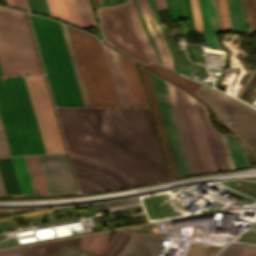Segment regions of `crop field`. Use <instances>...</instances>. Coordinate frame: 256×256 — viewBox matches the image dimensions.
<instances>
[{"mask_svg":"<svg viewBox=\"0 0 256 256\" xmlns=\"http://www.w3.org/2000/svg\"><path fill=\"white\" fill-rule=\"evenodd\" d=\"M181 94H182V98H183L185 108H186V111H187V114H188V118H189V121H190V124H191V128H192V131H193V134H194V138H195V141H196V144H197V148H198V151H199V154H200V158H201V161H202V164H203L204 171L209 172L207 164H206V160H205V157H204V154H203V150H202V147H201V143H200V140H199V136H198V133H197V130H196V126H195V123H194V119H193V116H192V112H191V109H190V106H189L187 95H186V93H184L182 91H181Z\"/></svg>","mask_w":256,"mask_h":256,"instance_id":"obj_27","label":"crop field"},{"mask_svg":"<svg viewBox=\"0 0 256 256\" xmlns=\"http://www.w3.org/2000/svg\"><path fill=\"white\" fill-rule=\"evenodd\" d=\"M119 59L125 75L133 106L148 107L135 64L121 55H119Z\"/></svg>","mask_w":256,"mask_h":256,"instance_id":"obj_12","label":"crop field"},{"mask_svg":"<svg viewBox=\"0 0 256 256\" xmlns=\"http://www.w3.org/2000/svg\"><path fill=\"white\" fill-rule=\"evenodd\" d=\"M256 251V246L248 245L239 256H252Z\"/></svg>","mask_w":256,"mask_h":256,"instance_id":"obj_46","label":"crop field"},{"mask_svg":"<svg viewBox=\"0 0 256 256\" xmlns=\"http://www.w3.org/2000/svg\"><path fill=\"white\" fill-rule=\"evenodd\" d=\"M36 194L48 193L37 155L24 156Z\"/></svg>","mask_w":256,"mask_h":256,"instance_id":"obj_17","label":"crop field"},{"mask_svg":"<svg viewBox=\"0 0 256 256\" xmlns=\"http://www.w3.org/2000/svg\"><path fill=\"white\" fill-rule=\"evenodd\" d=\"M66 29L89 105L119 106L101 43L93 35Z\"/></svg>","mask_w":256,"mask_h":256,"instance_id":"obj_4","label":"crop field"},{"mask_svg":"<svg viewBox=\"0 0 256 256\" xmlns=\"http://www.w3.org/2000/svg\"><path fill=\"white\" fill-rule=\"evenodd\" d=\"M56 106H84L58 22L29 15Z\"/></svg>","mask_w":256,"mask_h":256,"instance_id":"obj_3","label":"crop field"},{"mask_svg":"<svg viewBox=\"0 0 256 256\" xmlns=\"http://www.w3.org/2000/svg\"><path fill=\"white\" fill-rule=\"evenodd\" d=\"M0 194H6L5 190H4V186H3L2 180H1V176H0Z\"/></svg>","mask_w":256,"mask_h":256,"instance_id":"obj_50","label":"crop field"},{"mask_svg":"<svg viewBox=\"0 0 256 256\" xmlns=\"http://www.w3.org/2000/svg\"><path fill=\"white\" fill-rule=\"evenodd\" d=\"M161 237L133 233L120 256H155Z\"/></svg>","mask_w":256,"mask_h":256,"instance_id":"obj_13","label":"crop field"},{"mask_svg":"<svg viewBox=\"0 0 256 256\" xmlns=\"http://www.w3.org/2000/svg\"><path fill=\"white\" fill-rule=\"evenodd\" d=\"M82 21L84 25H96L88 0H76Z\"/></svg>","mask_w":256,"mask_h":256,"instance_id":"obj_31","label":"crop field"},{"mask_svg":"<svg viewBox=\"0 0 256 256\" xmlns=\"http://www.w3.org/2000/svg\"><path fill=\"white\" fill-rule=\"evenodd\" d=\"M61 28H62V31H63V34H64V38H65V41H66V44H67V48H68V51H69V54H70V58H71V61H72V64H73V68H74L75 75H76V78H77V81H78V85H79V88H80V91H81V95H82V98H83V101H84V105L89 106L88 102H87L85 92H84V88H83V85H82V82H81V79H80V75H79V72H78V69H77V66H76V62H75V59H74V56H73V52H72V49H71V46H70V43H69V39H68V36H67V33H66L65 26L63 24H61Z\"/></svg>","mask_w":256,"mask_h":256,"instance_id":"obj_30","label":"crop field"},{"mask_svg":"<svg viewBox=\"0 0 256 256\" xmlns=\"http://www.w3.org/2000/svg\"><path fill=\"white\" fill-rule=\"evenodd\" d=\"M149 76L156 96L158 107L161 113V117L164 123V127L173 154L175 165L178 171V175L182 176L192 174L184 150V146L181 140V136L178 130V126L175 120V116L172 110V106L169 100V96L166 90L165 83L163 80L155 77L150 73Z\"/></svg>","mask_w":256,"mask_h":256,"instance_id":"obj_8","label":"crop field"},{"mask_svg":"<svg viewBox=\"0 0 256 256\" xmlns=\"http://www.w3.org/2000/svg\"><path fill=\"white\" fill-rule=\"evenodd\" d=\"M226 136L232 153L234 164H236L235 167L238 168L242 167L241 165H249L248 163H250V160L247 152L231 135L227 134Z\"/></svg>","mask_w":256,"mask_h":256,"instance_id":"obj_23","label":"crop field"},{"mask_svg":"<svg viewBox=\"0 0 256 256\" xmlns=\"http://www.w3.org/2000/svg\"><path fill=\"white\" fill-rule=\"evenodd\" d=\"M145 66H147V67H149V68H151V69H153V70H155V71H157V72L167 76L170 79L174 78L175 79V80H173L174 82H176L177 84L181 85L182 87H184L185 89L189 90L192 93L201 86V84L194 83V82L189 81V80H187V79H185V78H183L181 76L179 78L178 77L179 75H177V74H175V73H173V72H171V71H169V70H167V69H165V68H163V67H161V66H159L157 64H148V65H145ZM193 84H194L195 87L191 86Z\"/></svg>","mask_w":256,"mask_h":256,"instance_id":"obj_25","label":"crop field"},{"mask_svg":"<svg viewBox=\"0 0 256 256\" xmlns=\"http://www.w3.org/2000/svg\"><path fill=\"white\" fill-rule=\"evenodd\" d=\"M100 3L103 4L102 0H100Z\"/></svg>","mask_w":256,"mask_h":256,"instance_id":"obj_55","label":"crop field"},{"mask_svg":"<svg viewBox=\"0 0 256 256\" xmlns=\"http://www.w3.org/2000/svg\"><path fill=\"white\" fill-rule=\"evenodd\" d=\"M188 24L191 30H195L189 0H183Z\"/></svg>","mask_w":256,"mask_h":256,"instance_id":"obj_44","label":"crop field"},{"mask_svg":"<svg viewBox=\"0 0 256 256\" xmlns=\"http://www.w3.org/2000/svg\"><path fill=\"white\" fill-rule=\"evenodd\" d=\"M104 4L110 3L109 0H103Z\"/></svg>","mask_w":256,"mask_h":256,"instance_id":"obj_53","label":"crop field"},{"mask_svg":"<svg viewBox=\"0 0 256 256\" xmlns=\"http://www.w3.org/2000/svg\"><path fill=\"white\" fill-rule=\"evenodd\" d=\"M6 156H11L8 145L5 139V135L2 129V125L0 122V157H6Z\"/></svg>","mask_w":256,"mask_h":256,"instance_id":"obj_41","label":"crop field"},{"mask_svg":"<svg viewBox=\"0 0 256 256\" xmlns=\"http://www.w3.org/2000/svg\"><path fill=\"white\" fill-rule=\"evenodd\" d=\"M190 3H191V8H192L195 28H196V30H203L201 18H200L199 7H198V2H197V0H190Z\"/></svg>","mask_w":256,"mask_h":256,"instance_id":"obj_39","label":"crop field"},{"mask_svg":"<svg viewBox=\"0 0 256 256\" xmlns=\"http://www.w3.org/2000/svg\"><path fill=\"white\" fill-rule=\"evenodd\" d=\"M51 14L77 25H83L75 0H47Z\"/></svg>","mask_w":256,"mask_h":256,"instance_id":"obj_15","label":"crop field"},{"mask_svg":"<svg viewBox=\"0 0 256 256\" xmlns=\"http://www.w3.org/2000/svg\"><path fill=\"white\" fill-rule=\"evenodd\" d=\"M0 119L12 156L45 153L23 77H0Z\"/></svg>","mask_w":256,"mask_h":256,"instance_id":"obj_2","label":"crop field"},{"mask_svg":"<svg viewBox=\"0 0 256 256\" xmlns=\"http://www.w3.org/2000/svg\"><path fill=\"white\" fill-rule=\"evenodd\" d=\"M110 231L82 236L81 247L99 252L105 245Z\"/></svg>","mask_w":256,"mask_h":256,"instance_id":"obj_24","label":"crop field"},{"mask_svg":"<svg viewBox=\"0 0 256 256\" xmlns=\"http://www.w3.org/2000/svg\"><path fill=\"white\" fill-rule=\"evenodd\" d=\"M120 10L125 21L130 39L136 49V52L142 63H149L142 46L136 36L133 23L128 11L127 4L120 5ZM119 7L99 8V17L105 40L115 46L122 52L128 54L134 59L139 60L135 49L129 39L125 24L123 22Z\"/></svg>","mask_w":256,"mask_h":256,"instance_id":"obj_6","label":"crop field"},{"mask_svg":"<svg viewBox=\"0 0 256 256\" xmlns=\"http://www.w3.org/2000/svg\"><path fill=\"white\" fill-rule=\"evenodd\" d=\"M94 3H95V5L100 4V3H99V0H94Z\"/></svg>","mask_w":256,"mask_h":256,"instance_id":"obj_52","label":"crop field"},{"mask_svg":"<svg viewBox=\"0 0 256 256\" xmlns=\"http://www.w3.org/2000/svg\"><path fill=\"white\" fill-rule=\"evenodd\" d=\"M253 256H256V252H255V254Z\"/></svg>","mask_w":256,"mask_h":256,"instance_id":"obj_57","label":"crop field"},{"mask_svg":"<svg viewBox=\"0 0 256 256\" xmlns=\"http://www.w3.org/2000/svg\"><path fill=\"white\" fill-rule=\"evenodd\" d=\"M26 246L0 250V256H21Z\"/></svg>","mask_w":256,"mask_h":256,"instance_id":"obj_43","label":"crop field"},{"mask_svg":"<svg viewBox=\"0 0 256 256\" xmlns=\"http://www.w3.org/2000/svg\"><path fill=\"white\" fill-rule=\"evenodd\" d=\"M30 3L34 11L50 14L46 0H30Z\"/></svg>","mask_w":256,"mask_h":256,"instance_id":"obj_40","label":"crop field"},{"mask_svg":"<svg viewBox=\"0 0 256 256\" xmlns=\"http://www.w3.org/2000/svg\"><path fill=\"white\" fill-rule=\"evenodd\" d=\"M111 1V3H115L116 1L115 0H110Z\"/></svg>","mask_w":256,"mask_h":256,"instance_id":"obj_54","label":"crop field"},{"mask_svg":"<svg viewBox=\"0 0 256 256\" xmlns=\"http://www.w3.org/2000/svg\"><path fill=\"white\" fill-rule=\"evenodd\" d=\"M77 239H78L79 245H78ZM80 241H81V236H78V237H72V238L59 240L55 242L29 245L25 250L23 256H55L62 243L80 247ZM34 249H44V250H34Z\"/></svg>","mask_w":256,"mask_h":256,"instance_id":"obj_16","label":"crop field"},{"mask_svg":"<svg viewBox=\"0 0 256 256\" xmlns=\"http://www.w3.org/2000/svg\"><path fill=\"white\" fill-rule=\"evenodd\" d=\"M5 1H6V3L9 4V5L15 6L13 0H5Z\"/></svg>","mask_w":256,"mask_h":256,"instance_id":"obj_51","label":"crop field"},{"mask_svg":"<svg viewBox=\"0 0 256 256\" xmlns=\"http://www.w3.org/2000/svg\"><path fill=\"white\" fill-rule=\"evenodd\" d=\"M0 67L3 75L42 74L25 14L0 7Z\"/></svg>","mask_w":256,"mask_h":256,"instance_id":"obj_5","label":"crop field"},{"mask_svg":"<svg viewBox=\"0 0 256 256\" xmlns=\"http://www.w3.org/2000/svg\"><path fill=\"white\" fill-rule=\"evenodd\" d=\"M38 156L49 193L76 191L65 153Z\"/></svg>","mask_w":256,"mask_h":256,"instance_id":"obj_9","label":"crop field"},{"mask_svg":"<svg viewBox=\"0 0 256 256\" xmlns=\"http://www.w3.org/2000/svg\"><path fill=\"white\" fill-rule=\"evenodd\" d=\"M136 2H137V4H138V6H139V9H140L141 14H142V16H143V19H144V21H145V23H146V26H147V28H148V31H149V33H150V35H151V37H152V39H153V41H154V43H155L157 49H158V51H159V54H160V56H161V58H162V63H163V65L169 68V65H168V63H167L166 56H165V52H164V50H163L161 41H160L158 35L155 36L156 31L153 29V27H152L151 24H150L149 18H148L147 14H146V11H145V9H144L142 3H141V0H136Z\"/></svg>","mask_w":256,"mask_h":256,"instance_id":"obj_26","label":"crop field"},{"mask_svg":"<svg viewBox=\"0 0 256 256\" xmlns=\"http://www.w3.org/2000/svg\"><path fill=\"white\" fill-rule=\"evenodd\" d=\"M215 32L216 31H202L205 43L211 48L221 49L216 42Z\"/></svg>","mask_w":256,"mask_h":256,"instance_id":"obj_42","label":"crop field"},{"mask_svg":"<svg viewBox=\"0 0 256 256\" xmlns=\"http://www.w3.org/2000/svg\"><path fill=\"white\" fill-rule=\"evenodd\" d=\"M175 91H176V94H177V97H178V101H179L180 108H181V111H182V114H183V118H184V121H185V124H186V128H187L188 135H189V138H190V141H191V145H192L193 152H194V155H195V158H196V162H197V165H198V168H199V172L202 173L204 171H203L202 164H201V161H200V158H199V154H198V151H197V148H196V144H195V141H194V138H193V134H192V131H191V128H190V124H189V121H188V118H187V114H186V111H185V108H184V104H183V101H182V98H181V94H180L179 89H177L176 87H175Z\"/></svg>","mask_w":256,"mask_h":256,"instance_id":"obj_28","label":"crop field"},{"mask_svg":"<svg viewBox=\"0 0 256 256\" xmlns=\"http://www.w3.org/2000/svg\"><path fill=\"white\" fill-rule=\"evenodd\" d=\"M117 2H119V1H122V0H116Z\"/></svg>","mask_w":256,"mask_h":256,"instance_id":"obj_56","label":"crop field"},{"mask_svg":"<svg viewBox=\"0 0 256 256\" xmlns=\"http://www.w3.org/2000/svg\"><path fill=\"white\" fill-rule=\"evenodd\" d=\"M166 2L173 21L184 19L180 0H166Z\"/></svg>","mask_w":256,"mask_h":256,"instance_id":"obj_34","label":"crop field"},{"mask_svg":"<svg viewBox=\"0 0 256 256\" xmlns=\"http://www.w3.org/2000/svg\"><path fill=\"white\" fill-rule=\"evenodd\" d=\"M56 109L81 192L169 178L148 109Z\"/></svg>","mask_w":256,"mask_h":256,"instance_id":"obj_1","label":"crop field"},{"mask_svg":"<svg viewBox=\"0 0 256 256\" xmlns=\"http://www.w3.org/2000/svg\"><path fill=\"white\" fill-rule=\"evenodd\" d=\"M153 1L157 10L167 9L165 0H153Z\"/></svg>","mask_w":256,"mask_h":256,"instance_id":"obj_47","label":"crop field"},{"mask_svg":"<svg viewBox=\"0 0 256 256\" xmlns=\"http://www.w3.org/2000/svg\"><path fill=\"white\" fill-rule=\"evenodd\" d=\"M0 75H2V74H1V70H0Z\"/></svg>","mask_w":256,"mask_h":256,"instance_id":"obj_58","label":"crop field"},{"mask_svg":"<svg viewBox=\"0 0 256 256\" xmlns=\"http://www.w3.org/2000/svg\"><path fill=\"white\" fill-rule=\"evenodd\" d=\"M46 153L65 151L43 76L24 77Z\"/></svg>","mask_w":256,"mask_h":256,"instance_id":"obj_7","label":"crop field"},{"mask_svg":"<svg viewBox=\"0 0 256 256\" xmlns=\"http://www.w3.org/2000/svg\"><path fill=\"white\" fill-rule=\"evenodd\" d=\"M204 30H211L205 0H198Z\"/></svg>","mask_w":256,"mask_h":256,"instance_id":"obj_38","label":"crop field"},{"mask_svg":"<svg viewBox=\"0 0 256 256\" xmlns=\"http://www.w3.org/2000/svg\"><path fill=\"white\" fill-rule=\"evenodd\" d=\"M140 71H141V74H142V77H143V81H144L145 88H146V91H147V95H148V98H149V101H150V105H151L152 112H153V115H154V119H155V122H156V125H157V129H158L159 136H160V139H161V143H162V146H163V149H164V153H165L166 160H167V163H168V167H169V170H170V173H171V177L172 178L178 177L176 169H175V165H174V162H173V158H172V155H171V151H170V148H169V144H168V141H167V138H166V134H165V131H164V127H163V124H162V121H161V117H160V114H159V110H158V107H157V104H156V100H155V97H154V94H153L151 83H150V80H149V77H148V73H147V71H145L141 67H140Z\"/></svg>","mask_w":256,"mask_h":256,"instance_id":"obj_11","label":"crop field"},{"mask_svg":"<svg viewBox=\"0 0 256 256\" xmlns=\"http://www.w3.org/2000/svg\"><path fill=\"white\" fill-rule=\"evenodd\" d=\"M197 105L200 111L201 118L203 119V125L208 138L213 159L216 165V169L217 170L229 169L225 155H224V151L220 142L219 135L209 126L204 106L200 104L198 101H197Z\"/></svg>","mask_w":256,"mask_h":256,"instance_id":"obj_14","label":"crop field"},{"mask_svg":"<svg viewBox=\"0 0 256 256\" xmlns=\"http://www.w3.org/2000/svg\"><path fill=\"white\" fill-rule=\"evenodd\" d=\"M212 30H220L214 0H206Z\"/></svg>","mask_w":256,"mask_h":256,"instance_id":"obj_35","label":"crop field"},{"mask_svg":"<svg viewBox=\"0 0 256 256\" xmlns=\"http://www.w3.org/2000/svg\"><path fill=\"white\" fill-rule=\"evenodd\" d=\"M215 2H216V7H217V12H218V17H219L220 28H221V30H223V28H222V23H221L220 12H219V7H218V1H217V0H215Z\"/></svg>","mask_w":256,"mask_h":256,"instance_id":"obj_49","label":"crop field"},{"mask_svg":"<svg viewBox=\"0 0 256 256\" xmlns=\"http://www.w3.org/2000/svg\"><path fill=\"white\" fill-rule=\"evenodd\" d=\"M120 106L133 107L117 53L103 45Z\"/></svg>","mask_w":256,"mask_h":256,"instance_id":"obj_10","label":"crop field"},{"mask_svg":"<svg viewBox=\"0 0 256 256\" xmlns=\"http://www.w3.org/2000/svg\"><path fill=\"white\" fill-rule=\"evenodd\" d=\"M250 31H256V0H244Z\"/></svg>","mask_w":256,"mask_h":256,"instance_id":"obj_33","label":"crop field"},{"mask_svg":"<svg viewBox=\"0 0 256 256\" xmlns=\"http://www.w3.org/2000/svg\"><path fill=\"white\" fill-rule=\"evenodd\" d=\"M246 244L233 243L221 252L218 256H238V254L246 247Z\"/></svg>","mask_w":256,"mask_h":256,"instance_id":"obj_37","label":"crop field"},{"mask_svg":"<svg viewBox=\"0 0 256 256\" xmlns=\"http://www.w3.org/2000/svg\"><path fill=\"white\" fill-rule=\"evenodd\" d=\"M132 233L117 231L99 253L93 256H117L128 242Z\"/></svg>","mask_w":256,"mask_h":256,"instance_id":"obj_18","label":"crop field"},{"mask_svg":"<svg viewBox=\"0 0 256 256\" xmlns=\"http://www.w3.org/2000/svg\"><path fill=\"white\" fill-rule=\"evenodd\" d=\"M14 2H15V5H16L17 7H21V8L28 9L25 0H14Z\"/></svg>","mask_w":256,"mask_h":256,"instance_id":"obj_48","label":"crop field"},{"mask_svg":"<svg viewBox=\"0 0 256 256\" xmlns=\"http://www.w3.org/2000/svg\"><path fill=\"white\" fill-rule=\"evenodd\" d=\"M233 30L246 31L240 0H227Z\"/></svg>","mask_w":256,"mask_h":256,"instance_id":"obj_22","label":"crop field"},{"mask_svg":"<svg viewBox=\"0 0 256 256\" xmlns=\"http://www.w3.org/2000/svg\"><path fill=\"white\" fill-rule=\"evenodd\" d=\"M221 136H222V140H223L224 147H225V150H226V154H227V157H228V161H229V164H230V168L233 169L235 167L233 165V161H232V158H231V154H230V150H229L228 143H227V140H226V136L225 135H221Z\"/></svg>","mask_w":256,"mask_h":256,"instance_id":"obj_45","label":"crop field"},{"mask_svg":"<svg viewBox=\"0 0 256 256\" xmlns=\"http://www.w3.org/2000/svg\"><path fill=\"white\" fill-rule=\"evenodd\" d=\"M22 194H35L23 157L11 158Z\"/></svg>","mask_w":256,"mask_h":256,"instance_id":"obj_20","label":"crop field"},{"mask_svg":"<svg viewBox=\"0 0 256 256\" xmlns=\"http://www.w3.org/2000/svg\"><path fill=\"white\" fill-rule=\"evenodd\" d=\"M224 30H232L226 0H218Z\"/></svg>","mask_w":256,"mask_h":256,"instance_id":"obj_36","label":"crop field"},{"mask_svg":"<svg viewBox=\"0 0 256 256\" xmlns=\"http://www.w3.org/2000/svg\"><path fill=\"white\" fill-rule=\"evenodd\" d=\"M142 2H143V5H144V7H145L149 17H150V20H151L153 26L156 28V30L158 32V35H159V37H160V39L162 41V44H163V47L165 49L167 60L169 62L170 68L173 69V64H172V60H171V53H170V51H169V49L167 47V44H166V41H165V39L163 37L162 31H161V29H160V27H159V25H158L154 15H153V12H152V10L150 8V5H149L147 0H142Z\"/></svg>","mask_w":256,"mask_h":256,"instance_id":"obj_29","label":"crop field"},{"mask_svg":"<svg viewBox=\"0 0 256 256\" xmlns=\"http://www.w3.org/2000/svg\"><path fill=\"white\" fill-rule=\"evenodd\" d=\"M95 252L63 244L57 256H92Z\"/></svg>","mask_w":256,"mask_h":256,"instance_id":"obj_32","label":"crop field"},{"mask_svg":"<svg viewBox=\"0 0 256 256\" xmlns=\"http://www.w3.org/2000/svg\"><path fill=\"white\" fill-rule=\"evenodd\" d=\"M128 4V7H129V10H130V14H131V17H132V20H133V23H134V26H135V30H136V33H137V36L144 48V51L149 59L150 62H157V59H156V56H155V53L140 25V22H139V19H138V16H137V13L135 11V8H134V5H133V2L132 0H129L127 2ZM140 34H142L143 36H140ZM158 63V62H157Z\"/></svg>","mask_w":256,"mask_h":256,"instance_id":"obj_21","label":"crop field"},{"mask_svg":"<svg viewBox=\"0 0 256 256\" xmlns=\"http://www.w3.org/2000/svg\"><path fill=\"white\" fill-rule=\"evenodd\" d=\"M188 99H189L190 106H191V109H192V112H193V116H194V119H195L197 130H198V133H199V136H200V140H201V143H202L204 154H205V157H206V160H207L209 171L210 172L216 171L214 163H213V159H212V156H211V153H210V149H209V146H208V142H207V139H206V135H205V132H204V129H203V125H202V122H201V118H200V115H199V111H198V108H197V105H196V101H195V99H193L189 95H188Z\"/></svg>","mask_w":256,"mask_h":256,"instance_id":"obj_19","label":"crop field"}]
</instances>
